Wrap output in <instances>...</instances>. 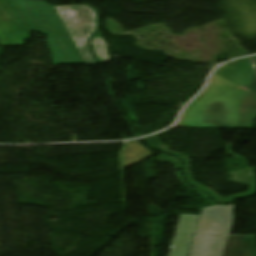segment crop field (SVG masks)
Wrapping results in <instances>:
<instances>
[{
	"label": "crop field",
	"instance_id": "8a807250",
	"mask_svg": "<svg viewBox=\"0 0 256 256\" xmlns=\"http://www.w3.org/2000/svg\"><path fill=\"white\" fill-rule=\"evenodd\" d=\"M29 32L48 36L54 65L85 64L51 5L40 1L0 0V45H23Z\"/></svg>",
	"mask_w": 256,
	"mask_h": 256
},
{
	"label": "crop field",
	"instance_id": "ac0d7876",
	"mask_svg": "<svg viewBox=\"0 0 256 256\" xmlns=\"http://www.w3.org/2000/svg\"><path fill=\"white\" fill-rule=\"evenodd\" d=\"M234 206L203 209L189 256H222L233 222ZM200 216H180L169 256H187Z\"/></svg>",
	"mask_w": 256,
	"mask_h": 256
},
{
	"label": "crop field",
	"instance_id": "34b2d1b8",
	"mask_svg": "<svg viewBox=\"0 0 256 256\" xmlns=\"http://www.w3.org/2000/svg\"><path fill=\"white\" fill-rule=\"evenodd\" d=\"M53 7L81 53L86 65L97 64L98 62L92 56L89 46V39L99 29V14L97 10L88 5H53Z\"/></svg>",
	"mask_w": 256,
	"mask_h": 256
},
{
	"label": "crop field",
	"instance_id": "412701ff",
	"mask_svg": "<svg viewBox=\"0 0 256 256\" xmlns=\"http://www.w3.org/2000/svg\"><path fill=\"white\" fill-rule=\"evenodd\" d=\"M93 53L95 57L101 62L110 61L106 45L103 41L101 32H99L91 41Z\"/></svg>",
	"mask_w": 256,
	"mask_h": 256
}]
</instances>
